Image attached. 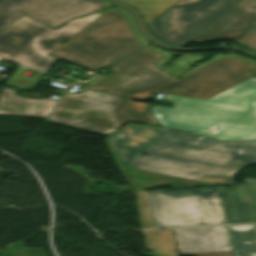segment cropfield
Wrapping results in <instances>:
<instances>
[{
    "label": "crop field",
    "mask_w": 256,
    "mask_h": 256,
    "mask_svg": "<svg viewBox=\"0 0 256 256\" xmlns=\"http://www.w3.org/2000/svg\"><path fill=\"white\" fill-rule=\"evenodd\" d=\"M106 143L133 190L231 182L236 170L256 163V141L221 143L151 125L128 123Z\"/></svg>",
    "instance_id": "crop-field-1"
},
{
    "label": "crop field",
    "mask_w": 256,
    "mask_h": 256,
    "mask_svg": "<svg viewBox=\"0 0 256 256\" xmlns=\"http://www.w3.org/2000/svg\"><path fill=\"white\" fill-rule=\"evenodd\" d=\"M256 65L219 58L161 92L174 108L153 105L161 126L218 141L256 140Z\"/></svg>",
    "instance_id": "crop-field-2"
},
{
    "label": "crop field",
    "mask_w": 256,
    "mask_h": 256,
    "mask_svg": "<svg viewBox=\"0 0 256 256\" xmlns=\"http://www.w3.org/2000/svg\"><path fill=\"white\" fill-rule=\"evenodd\" d=\"M148 43L151 42L139 34L131 13L115 6L49 55L98 69L113 64Z\"/></svg>",
    "instance_id": "crop-field-3"
},
{
    "label": "crop field",
    "mask_w": 256,
    "mask_h": 256,
    "mask_svg": "<svg viewBox=\"0 0 256 256\" xmlns=\"http://www.w3.org/2000/svg\"><path fill=\"white\" fill-rule=\"evenodd\" d=\"M152 105L86 90L66 94L47 121L111 134L128 122L159 125L150 113Z\"/></svg>",
    "instance_id": "crop-field-4"
},
{
    "label": "crop field",
    "mask_w": 256,
    "mask_h": 256,
    "mask_svg": "<svg viewBox=\"0 0 256 256\" xmlns=\"http://www.w3.org/2000/svg\"><path fill=\"white\" fill-rule=\"evenodd\" d=\"M169 57L167 51L147 45L111 65L109 68L114 73L88 88L137 100L146 99L151 92L159 93L178 79L177 73L189 62L200 58L182 54L170 69L160 66Z\"/></svg>",
    "instance_id": "crop-field-5"
},
{
    "label": "crop field",
    "mask_w": 256,
    "mask_h": 256,
    "mask_svg": "<svg viewBox=\"0 0 256 256\" xmlns=\"http://www.w3.org/2000/svg\"><path fill=\"white\" fill-rule=\"evenodd\" d=\"M154 228L226 224L215 187L147 193Z\"/></svg>",
    "instance_id": "crop-field-6"
},
{
    "label": "crop field",
    "mask_w": 256,
    "mask_h": 256,
    "mask_svg": "<svg viewBox=\"0 0 256 256\" xmlns=\"http://www.w3.org/2000/svg\"><path fill=\"white\" fill-rule=\"evenodd\" d=\"M243 0H179L147 23L160 41L185 46L204 33Z\"/></svg>",
    "instance_id": "crop-field-7"
},
{
    "label": "crop field",
    "mask_w": 256,
    "mask_h": 256,
    "mask_svg": "<svg viewBox=\"0 0 256 256\" xmlns=\"http://www.w3.org/2000/svg\"><path fill=\"white\" fill-rule=\"evenodd\" d=\"M110 8L112 7L110 6L101 12L97 11L81 18H74L51 30L11 62L49 72L58 59L47 54Z\"/></svg>",
    "instance_id": "crop-field-8"
},
{
    "label": "crop field",
    "mask_w": 256,
    "mask_h": 256,
    "mask_svg": "<svg viewBox=\"0 0 256 256\" xmlns=\"http://www.w3.org/2000/svg\"><path fill=\"white\" fill-rule=\"evenodd\" d=\"M109 0H31L21 9L36 21L56 27L74 17H81L108 6Z\"/></svg>",
    "instance_id": "crop-field-9"
},
{
    "label": "crop field",
    "mask_w": 256,
    "mask_h": 256,
    "mask_svg": "<svg viewBox=\"0 0 256 256\" xmlns=\"http://www.w3.org/2000/svg\"><path fill=\"white\" fill-rule=\"evenodd\" d=\"M173 231L179 255L232 256L226 226Z\"/></svg>",
    "instance_id": "crop-field-10"
},
{
    "label": "crop field",
    "mask_w": 256,
    "mask_h": 256,
    "mask_svg": "<svg viewBox=\"0 0 256 256\" xmlns=\"http://www.w3.org/2000/svg\"><path fill=\"white\" fill-rule=\"evenodd\" d=\"M51 29L23 15L0 33V57L12 60Z\"/></svg>",
    "instance_id": "crop-field-11"
},
{
    "label": "crop field",
    "mask_w": 256,
    "mask_h": 256,
    "mask_svg": "<svg viewBox=\"0 0 256 256\" xmlns=\"http://www.w3.org/2000/svg\"><path fill=\"white\" fill-rule=\"evenodd\" d=\"M256 22V0H245L234 11L195 39L194 43L236 39Z\"/></svg>",
    "instance_id": "crop-field-12"
},
{
    "label": "crop field",
    "mask_w": 256,
    "mask_h": 256,
    "mask_svg": "<svg viewBox=\"0 0 256 256\" xmlns=\"http://www.w3.org/2000/svg\"><path fill=\"white\" fill-rule=\"evenodd\" d=\"M15 91L3 88L0 94V114L26 117L46 118L58 99L50 98L43 100L25 99L15 97Z\"/></svg>",
    "instance_id": "crop-field-13"
},
{
    "label": "crop field",
    "mask_w": 256,
    "mask_h": 256,
    "mask_svg": "<svg viewBox=\"0 0 256 256\" xmlns=\"http://www.w3.org/2000/svg\"><path fill=\"white\" fill-rule=\"evenodd\" d=\"M218 189L227 224L253 222L244 185Z\"/></svg>",
    "instance_id": "crop-field-14"
},
{
    "label": "crop field",
    "mask_w": 256,
    "mask_h": 256,
    "mask_svg": "<svg viewBox=\"0 0 256 256\" xmlns=\"http://www.w3.org/2000/svg\"><path fill=\"white\" fill-rule=\"evenodd\" d=\"M234 256H256V235L253 224L227 226Z\"/></svg>",
    "instance_id": "crop-field-15"
},
{
    "label": "crop field",
    "mask_w": 256,
    "mask_h": 256,
    "mask_svg": "<svg viewBox=\"0 0 256 256\" xmlns=\"http://www.w3.org/2000/svg\"><path fill=\"white\" fill-rule=\"evenodd\" d=\"M142 232L146 247L153 250L154 256H176L170 230Z\"/></svg>",
    "instance_id": "crop-field-16"
},
{
    "label": "crop field",
    "mask_w": 256,
    "mask_h": 256,
    "mask_svg": "<svg viewBox=\"0 0 256 256\" xmlns=\"http://www.w3.org/2000/svg\"><path fill=\"white\" fill-rule=\"evenodd\" d=\"M140 10L145 23L177 0H121Z\"/></svg>",
    "instance_id": "crop-field-17"
},
{
    "label": "crop field",
    "mask_w": 256,
    "mask_h": 256,
    "mask_svg": "<svg viewBox=\"0 0 256 256\" xmlns=\"http://www.w3.org/2000/svg\"><path fill=\"white\" fill-rule=\"evenodd\" d=\"M30 0H0V32L21 17L18 9Z\"/></svg>",
    "instance_id": "crop-field-18"
},
{
    "label": "crop field",
    "mask_w": 256,
    "mask_h": 256,
    "mask_svg": "<svg viewBox=\"0 0 256 256\" xmlns=\"http://www.w3.org/2000/svg\"><path fill=\"white\" fill-rule=\"evenodd\" d=\"M142 229L153 228L147 203L146 191L135 193Z\"/></svg>",
    "instance_id": "crop-field-19"
},
{
    "label": "crop field",
    "mask_w": 256,
    "mask_h": 256,
    "mask_svg": "<svg viewBox=\"0 0 256 256\" xmlns=\"http://www.w3.org/2000/svg\"><path fill=\"white\" fill-rule=\"evenodd\" d=\"M245 186L252 210L253 220L256 223V178H245Z\"/></svg>",
    "instance_id": "crop-field-20"
},
{
    "label": "crop field",
    "mask_w": 256,
    "mask_h": 256,
    "mask_svg": "<svg viewBox=\"0 0 256 256\" xmlns=\"http://www.w3.org/2000/svg\"><path fill=\"white\" fill-rule=\"evenodd\" d=\"M4 84L8 86L28 90V89L35 88L38 82L10 76Z\"/></svg>",
    "instance_id": "crop-field-21"
},
{
    "label": "crop field",
    "mask_w": 256,
    "mask_h": 256,
    "mask_svg": "<svg viewBox=\"0 0 256 256\" xmlns=\"http://www.w3.org/2000/svg\"><path fill=\"white\" fill-rule=\"evenodd\" d=\"M237 43L245 44L256 50V25L255 28L248 32L246 35L236 41Z\"/></svg>",
    "instance_id": "crop-field-22"
},
{
    "label": "crop field",
    "mask_w": 256,
    "mask_h": 256,
    "mask_svg": "<svg viewBox=\"0 0 256 256\" xmlns=\"http://www.w3.org/2000/svg\"><path fill=\"white\" fill-rule=\"evenodd\" d=\"M221 56H232V57H236V58H239V59H242V60H246V61H249V62H253V63H255V64H256V61L249 60V59H246V58H242V57H239V56H235V55H231V54H228V55H222V54H219V55L215 56L214 58H212L211 60H209V61H207V62H204V63H202V64H200V65H198V66L194 67V68H193V69H191L190 71H188V72L184 73L181 77H183V76H185V75L189 74L190 72H192V71L196 70L197 68H199V67H201V66L205 65L206 63H208V62H210V61H212V60H214V59H216V58H218V57H221ZM252 76H255V77H256V70H255V71H253L252 73H250V77H252ZM181 77H180V78H181Z\"/></svg>",
    "instance_id": "crop-field-23"
},
{
    "label": "crop field",
    "mask_w": 256,
    "mask_h": 256,
    "mask_svg": "<svg viewBox=\"0 0 256 256\" xmlns=\"http://www.w3.org/2000/svg\"><path fill=\"white\" fill-rule=\"evenodd\" d=\"M253 165H256V164H253ZM238 171H236L235 172V174L237 173ZM234 174V175H235ZM234 175H233V177H234ZM233 177H232V183H226V184H222V185H232L233 184ZM155 188V187H154ZM148 189H152V188H148ZM142 190H146V189H142ZM173 190H176V189H173ZM137 191H141V190H136V191H134V192H137Z\"/></svg>",
    "instance_id": "crop-field-24"
}]
</instances>
